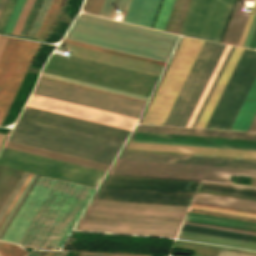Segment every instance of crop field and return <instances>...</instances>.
<instances>
[{
	"mask_svg": "<svg viewBox=\"0 0 256 256\" xmlns=\"http://www.w3.org/2000/svg\"><path fill=\"white\" fill-rule=\"evenodd\" d=\"M225 46L224 45H219V44H216L176 126H186L197 102H198V99L210 77V75L212 74L223 50H224Z\"/></svg>",
	"mask_w": 256,
	"mask_h": 256,
	"instance_id": "4a817a6b",
	"label": "crop field"
},
{
	"mask_svg": "<svg viewBox=\"0 0 256 256\" xmlns=\"http://www.w3.org/2000/svg\"><path fill=\"white\" fill-rule=\"evenodd\" d=\"M95 190L40 176L1 239L60 248Z\"/></svg>",
	"mask_w": 256,
	"mask_h": 256,
	"instance_id": "ac0d7876",
	"label": "crop field"
},
{
	"mask_svg": "<svg viewBox=\"0 0 256 256\" xmlns=\"http://www.w3.org/2000/svg\"><path fill=\"white\" fill-rule=\"evenodd\" d=\"M68 252H57L54 256H65Z\"/></svg>",
	"mask_w": 256,
	"mask_h": 256,
	"instance_id": "7b73153f",
	"label": "crop field"
},
{
	"mask_svg": "<svg viewBox=\"0 0 256 256\" xmlns=\"http://www.w3.org/2000/svg\"><path fill=\"white\" fill-rule=\"evenodd\" d=\"M41 75L51 77V78H55V79H59V80H63V81H67V82H71V83H75V84H79V85H84V86H88V87H93V88H97V89H101V90H106V91H110V92H115V93H119V94H123V95H128V96L148 100L147 97L134 95V94H130V93H125V92L109 89V88H106V87H102V86H98V85H94V84H90V83H85V82H81V81H77V80H73V79H69V78H64V77H60V76H56V75H52V74H48V73H44V72H42Z\"/></svg>",
	"mask_w": 256,
	"mask_h": 256,
	"instance_id": "1d83c4d3",
	"label": "crop field"
},
{
	"mask_svg": "<svg viewBox=\"0 0 256 256\" xmlns=\"http://www.w3.org/2000/svg\"><path fill=\"white\" fill-rule=\"evenodd\" d=\"M120 159L256 169V161L124 152Z\"/></svg>",
	"mask_w": 256,
	"mask_h": 256,
	"instance_id": "5142ce71",
	"label": "crop field"
},
{
	"mask_svg": "<svg viewBox=\"0 0 256 256\" xmlns=\"http://www.w3.org/2000/svg\"><path fill=\"white\" fill-rule=\"evenodd\" d=\"M131 141L256 150V141L136 132Z\"/></svg>",
	"mask_w": 256,
	"mask_h": 256,
	"instance_id": "22f410ed",
	"label": "crop field"
},
{
	"mask_svg": "<svg viewBox=\"0 0 256 256\" xmlns=\"http://www.w3.org/2000/svg\"><path fill=\"white\" fill-rule=\"evenodd\" d=\"M65 38L167 62L179 36L80 14Z\"/></svg>",
	"mask_w": 256,
	"mask_h": 256,
	"instance_id": "412701ff",
	"label": "crop field"
},
{
	"mask_svg": "<svg viewBox=\"0 0 256 256\" xmlns=\"http://www.w3.org/2000/svg\"><path fill=\"white\" fill-rule=\"evenodd\" d=\"M103 0H85L83 10L92 14H99Z\"/></svg>",
	"mask_w": 256,
	"mask_h": 256,
	"instance_id": "c035e120",
	"label": "crop field"
},
{
	"mask_svg": "<svg viewBox=\"0 0 256 256\" xmlns=\"http://www.w3.org/2000/svg\"><path fill=\"white\" fill-rule=\"evenodd\" d=\"M242 51H243L242 48L235 47L227 65H226V67H225V69H224V71H223V73H222V75H221V77H220V79H219V81H218V83H217V85H216V87H215V89H214V91H213V93H212V95H211V97H210V99H209V101H208V103H207V105H206V107H205L197 125H196V127L204 128V126H205V124H206V122H207V120H208V118H209V116H210V114H211V112H212V110H213V108H214V106H215L223 88L225 87V85H226V83H227V81H228V79H229V77H230V75H231V73H232V71H233L241 53H242Z\"/></svg>",
	"mask_w": 256,
	"mask_h": 256,
	"instance_id": "92a150f3",
	"label": "crop field"
},
{
	"mask_svg": "<svg viewBox=\"0 0 256 256\" xmlns=\"http://www.w3.org/2000/svg\"><path fill=\"white\" fill-rule=\"evenodd\" d=\"M233 49H234V47H231L223 65H222V67H221V69H220V71H219V73H218V75H217V77H216V79H215V81H214V83H213V85H212V87H211V89H210V91H209V93H208V95H207V97H206V99H205V101H204V103H203V105H202V107H201L193 125H192V127H195V125H196V123H197V121H198V119H199V117H200V115H201V113H202V111H203V109H204V107H205V105H206V103H207V101H208V99H209V97H210V95H211V93H212V91H213V89H214V87H215V85H216V83H217V81H218V79H219V77H220V75H221L229 57H230V55H231V53H232V51H233Z\"/></svg>",
	"mask_w": 256,
	"mask_h": 256,
	"instance_id": "b80d0937",
	"label": "crop field"
},
{
	"mask_svg": "<svg viewBox=\"0 0 256 256\" xmlns=\"http://www.w3.org/2000/svg\"><path fill=\"white\" fill-rule=\"evenodd\" d=\"M44 72L83 80L149 97L157 76L53 53Z\"/></svg>",
	"mask_w": 256,
	"mask_h": 256,
	"instance_id": "dd49c442",
	"label": "crop field"
},
{
	"mask_svg": "<svg viewBox=\"0 0 256 256\" xmlns=\"http://www.w3.org/2000/svg\"><path fill=\"white\" fill-rule=\"evenodd\" d=\"M248 47L256 49V27Z\"/></svg>",
	"mask_w": 256,
	"mask_h": 256,
	"instance_id": "1d79db26",
	"label": "crop field"
},
{
	"mask_svg": "<svg viewBox=\"0 0 256 256\" xmlns=\"http://www.w3.org/2000/svg\"><path fill=\"white\" fill-rule=\"evenodd\" d=\"M218 185L237 187V188H243V189H249V190H255L256 191V189H254V188H248V187H243V186H239V185H225V184H218Z\"/></svg>",
	"mask_w": 256,
	"mask_h": 256,
	"instance_id": "db79e9e6",
	"label": "crop field"
},
{
	"mask_svg": "<svg viewBox=\"0 0 256 256\" xmlns=\"http://www.w3.org/2000/svg\"><path fill=\"white\" fill-rule=\"evenodd\" d=\"M248 131H255L256 132V115L253 118Z\"/></svg>",
	"mask_w": 256,
	"mask_h": 256,
	"instance_id": "447ae74e",
	"label": "crop field"
},
{
	"mask_svg": "<svg viewBox=\"0 0 256 256\" xmlns=\"http://www.w3.org/2000/svg\"><path fill=\"white\" fill-rule=\"evenodd\" d=\"M4 138H5L4 135H0V146H1V144H2V142H3V140H4Z\"/></svg>",
	"mask_w": 256,
	"mask_h": 256,
	"instance_id": "78b8030e",
	"label": "crop field"
},
{
	"mask_svg": "<svg viewBox=\"0 0 256 256\" xmlns=\"http://www.w3.org/2000/svg\"><path fill=\"white\" fill-rule=\"evenodd\" d=\"M15 2H16V0H9L8 1L7 5H6L5 9H4V12H3V14H2V16L0 18V31L3 30V28H4V26H5L6 22H7V19L9 17L10 13H11V10H12Z\"/></svg>",
	"mask_w": 256,
	"mask_h": 256,
	"instance_id": "b54c1fbb",
	"label": "crop field"
},
{
	"mask_svg": "<svg viewBox=\"0 0 256 256\" xmlns=\"http://www.w3.org/2000/svg\"><path fill=\"white\" fill-rule=\"evenodd\" d=\"M255 25H256V14H255V16H254L253 22H252V24H251L249 33H248V35H247V38H246V41H245L243 47H247V46H248V43H249V41H250V38H251V35H252V33H253V30H254Z\"/></svg>",
	"mask_w": 256,
	"mask_h": 256,
	"instance_id": "dbb93151",
	"label": "crop field"
},
{
	"mask_svg": "<svg viewBox=\"0 0 256 256\" xmlns=\"http://www.w3.org/2000/svg\"><path fill=\"white\" fill-rule=\"evenodd\" d=\"M203 43L183 39L142 123L163 125Z\"/></svg>",
	"mask_w": 256,
	"mask_h": 256,
	"instance_id": "d8731c3e",
	"label": "crop field"
},
{
	"mask_svg": "<svg viewBox=\"0 0 256 256\" xmlns=\"http://www.w3.org/2000/svg\"><path fill=\"white\" fill-rule=\"evenodd\" d=\"M0 164L66 179L93 187L98 186L105 174L104 171L43 158L5 147L0 154Z\"/></svg>",
	"mask_w": 256,
	"mask_h": 256,
	"instance_id": "28ad6ade",
	"label": "crop field"
},
{
	"mask_svg": "<svg viewBox=\"0 0 256 256\" xmlns=\"http://www.w3.org/2000/svg\"><path fill=\"white\" fill-rule=\"evenodd\" d=\"M8 0H0V16Z\"/></svg>",
	"mask_w": 256,
	"mask_h": 256,
	"instance_id": "0765c3eb",
	"label": "crop field"
},
{
	"mask_svg": "<svg viewBox=\"0 0 256 256\" xmlns=\"http://www.w3.org/2000/svg\"><path fill=\"white\" fill-rule=\"evenodd\" d=\"M207 43L208 42L206 41L202 50H201V52H200V54H199V56H198V58H197V60H196V62H195V64H194V66H193V68H192V70H191V72H190V74H189V76H188V78H187V80H186V82H185V84H184V86H183V88H182V90H181V92H180V94H179V96H178V98L176 99V101H175V103H174V105H173V107H172L164 125H167V123H168V121H169V119H170V117H171V115H172V113H173V111H174V109H175V107H176V105H177V103H178V101H179V99H180V97H181V95H182V93H183V91H184V89H185V87H186V85H187V83H188V81H189V79H190V77H191V75H192V73H193V71H194V69H195L203 51H204V49H205V47H206V45H207Z\"/></svg>",
	"mask_w": 256,
	"mask_h": 256,
	"instance_id": "c21b1889",
	"label": "crop field"
},
{
	"mask_svg": "<svg viewBox=\"0 0 256 256\" xmlns=\"http://www.w3.org/2000/svg\"><path fill=\"white\" fill-rule=\"evenodd\" d=\"M230 47L231 46L227 45L222 57L220 58L217 66H216V68H215V70H214V72H213V74H212V76H211V78H210V80H209V82H208V84H207V86H206V88H205V90H204V92H203V94H202V96H201V98H200V100H199V102H198V104H197V106H196L188 124H187L188 127L191 126V124H192V122H193V120H194V118H195V116H196V114H197V112H198V110H199V108H200V106H201V104H202V102H203V100H204V98H205V96H206V94H207V92H208V90H209V88H210V86H211V84H212V82H213V80H214V78H215V76H216L224 58H225V56H226V54H227V52H228V50L230 49Z\"/></svg>",
	"mask_w": 256,
	"mask_h": 256,
	"instance_id": "bd1437ed",
	"label": "crop field"
},
{
	"mask_svg": "<svg viewBox=\"0 0 256 256\" xmlns=\"http://www.w3.org/2000/svg\"><path fill=\"white\" fill-rule=\"evenodd\" d=\"M34 94L139 118L145 104L40 78Z\"/></svg>",
	"mask_w": 256,
	"mask_h": 256,
	"instance_id": "3316defc",
	"label": "crop field"
},
{
	"mask_svg": "<svg viewBox=\"0 0 256 256\" xmlns=\"http://www.w3.org/2000/svg\"><path fill=\"white\" fill-rule=\"evenodd\" d=\"M137 131L256 140L255 133L140 125Z\"/></svg>",
	"mask_w": 256,
	"mask_h": 256,
	"instance_id": "bc2a9ffb",
	"label": "crop field"
},
{
	"mask_svg": "<svg viewBox=\"0 0 256 256\" xmlns=\"http://www.w3.org/2000/svg\"><path fill=\"white\" fill-rule=\"evenodd\" d=\"M192 207L213 210V211H219V212L232 213V214H238V215H244V216H250V217H256V214H252V213L239 212V211H233V210H227V209H221V208H214V207H208V206H202V205H196V204H193Z\"/></svg>",
	"mask_w": 256,
	"mask_h": 256,
	"instance_id": "5d738f31",
	"label": "crop field"
},
{
	"mask_svg": "<svg viewBox=\"0 0 256 256\" xmlns=\"http://www.w3.org/2000/svg\"><path fill=\"white\" fill-rule=\"evenodd\" d=\"M127 148L256 158V151L130 142Z\"/></svg>",
	"mask_w": 256,
	"mask_h": 256,
	"instance_id": "733c2abd",
	"label": "crop field"
},
{
	"mask_svg": "<svg viewBox=\"0 0 256 256\" xmlns=\"http://www.w3.org/2000/svg\"><path fill=\"white\" fill-rule=\"evenodd\" d=\"M191 0H183L182 5L180 7L179 13L177 15L176 21L174 23L173 29L171 32L173 33H179V30L181 28L182 22L184 20L185 14L187 12L188 6L190 4Z\"/></svg>",
	"mask_w": 256,
	"mask_h": 256,
	"instance_id": "e1f06a70",
	"label": "crop field"
},
{
	"mask_svg": "<svg viewBox=\"0 0 256 256\" xmlns=\"http://www.w3.org/2000/svg\"><path fill=\"white\" fill-rule=\"evenodd\" d=\"M111 174L229 183L231 175L256 176V170L118 160Z\"/></svg>",
	"mask_w": 256,
	"mask_h": 256,
	"instance_id": "5a996713",
	"label": "crop field"
},
{
	"mask_svg": "<svg viewBox=\"0 0 256 256\" xmlns=\"http://www.w3.org/2000/svg\"><path fill=\"white\" fill-rule=\"evenodd\" d=\"M4 146L11 149L23 151V152H28L36 155H41L45 157H50L58 160H63L71 163L84 165V166H89V167H93V168H97L105 171H107V169L109 168L108 165L91 162V161H87L79 158H74V157H70L62 154H57V153H53V152H49V151H45L37 148H32V147H28V146H24L16 143L8 142V141H6Z\"/></svg>",
	"mask_w": 256,
	"mask_h": 256,
	"instance_id": "00972430",
	"label": "crop field"
},
{
	"mask_svg": "<svg viewBox=\"0 0 256 256\" xmlns=\"http://www.w3.org/2000/svg\"><path fill=\"white\" fill-rule=\"evenodd\" d=\"M187 209L93 200L78 229L174 238Z\"/></svg>",
	"mask_w": 256,
	"mask_h": 256,
	"instance_id": "34b2d1b8",
	"label": "crop field"
},
{
	"mask_svg": "<svg viewBox=\"0 0 256 256\" xmlns=\"http://www.w3.org/2000/svg\"><path fill=\"white\" fill-rule=\"evenodd\" d=\"M129 133L25 106L8 140L111 165Z\"/></svg>",
	"mask_w": 256,
	"mask_h": 256,
	"instance_id": "8a807250",
	"label": "crop field"
},
{
	"mask_svg": "<svg viewBox=\"0 0 256 256\" xmlns=\"http://www.w3.org/2000/svg\"><path fill=\"white\" fill-rule=\"evenodd\" d=\"M244 1L245 0H238L237 2L231 21L229 23L228 29L226 31L225 37L222 42L224 44H230L235 46L238 45L245 22L248 17V14L240 13Z\"/></svg>",
	"mask_w": 256,
	"mask_h": 256,
	"instance_id": "4177f3b9",
	"label": "crop field"
},
{
	"mask_svg": "<svg viewBox=\"0 0 256 256\" xmlns=\"http://www.w3.org/2000/svg\"><path fill=\"white\" fill-rule=\"evenodd\" d=\"M256 112V80L231 128V130L246 131Z\"/></svg>",
	"mask_w": 256,
	"mask_h": 256,
	"instance_id": "730fd06b",
	"label": "crop field"
},
{
	"mask_svg": "<svg viewBox=\"0 0 256 256\" xmlns=\"http://www.w3.org/2000/svg\"><path fill=\"white\" fill-rule=\"evenodd\" d=\"M59 50L75 53L74 56L160 76L163 66L107 54L61 42Z\"/></svg>",
	"mask_w": 256,
	"mask_h": 256,
	"instance_id": "d9b57169",
	"label": "crop field"
},
{
	"mask_svg": "<svg viewBox=\"0 0 256 256\" xmlns=\"http://www.w3.org/2000/svg\"><path fill=\"white\" fill-rule=\"evenodd\" d=\"M199 182L109 175L95 199L189 206Z\"/></svg>",
	"mask_w": 256,
	"mask_h": 256,
	"instance_id": "f4fd0767",
	"label": "crop field"
},
{
	"mask_svg": "<svg viewBox=\"0 0 256 256\" xmlns=\"http://www.w3.org/2000/svg\"><path fill=\"white\" fill-rule=\"evenodd\" d=\"M255 1H256V0H255ZM255 11H256V3H255V5H254V7H253V12H251L250 15H249V19H248V21H247L246 27H245V29H244L243 35H242L241 40H240V43H239V45H238V46H240V47L243 46V43H244V41H245V38H246V35H247V33H248L250 24H251V22H252V19H253L254 14H255Z\"/></svg>",
	"mask_w": 256,
	"mask_h": 256,
	"instance_id": "25e5ab78",
	"label": "crop field"
},
{
	"mask_svg": "<svg viewBox=\"0 0 256 256\" xmlns=\"http://www.w3.org/2000/svg\"><path fill=\"white\" fill-rule=\"evenodd\" d=\"M29 175V173L24 172V174L22 175L21 179L19 180V182L17 183L16 187L14 188V190L12 191V193L10 194L9 198L7 199V201L5 202L4 206L2 207V209L0 210V219L2 218V216L4 215L5 211L7 210V208L9 207L10 203L12 202V200L14 199L15 195L17 194V192L19 191V189L21 188L22 184L24 183V181L26 180L27 176Z\"/></svg>",
	"mask_w": 256,
	"mask_h": 256,
	"instance_id": "0bd39190",
	"label": "crop field"
},
{
	"mask_svg": "<svg viewBox=\"0 0 256 256\" xmlns=\"http://www.w3.org/2000/svg\"><path fill=\"white\" fill-rule=\"evenodd\" d=\"M22 174V171L0 166V209Z\"/></svg>",
	"mask_w": 256,
	"mask_h": 256,
	"instance_id": "ae1a2a85",
	"label": "crop field"
},
{
	"mask_svg": "<svg viewBox=\"0 0 256 256\" xmlns=\"http://www.w3.org/2000/svg\"><path fill=\"white\" fill-rule=\"evenodd\" d=\"M25 1L26 0H17L15 6L13 8V11H12V13H11L9 19H8V22H7V24L4 28L5 32H9V33L12 32V30H13L15 24H16V21H17L19 15H20V12H21L24 4H25Z\"/></svg>",
	"mask_w": 256,
	"mask_h": 256,
	"instance_id": "120bbe31",
	"label": "crop field"
},
{
	"mask_svg": "<svg viewBox=\"0 0 256 256\" xmlns=\"http://www.w3.org/2000/svg\"><path fill=\"white\" fill-rule=\"evenodd\" d=\"M131 0H105L100 11V16L114 18L117 8L128 9Z\"/></svg>",
	"mask_w": 256,
	"mask_h": 256,
	"instance_id": "750c4746",
	"label": "crop field"
},
{
	"mask_svg": "<svg viewBox=\"0 0 256 256\" xmlns=\"http://www.w3.org/2000/svg\"><path fill=\"white\" fill-rule=\"evenodd\" d=\"M181 230L256 242V236H253V235H247V234H241V233H235V232H229V231H223V230H217V229H211V228H205V227H199V226H193V225H187V224H184ZM184 231L180 232L178 238L193 240V241L202 242V243L256 250V243L209 236V235H202V234H196V233H190V232H184Z\"/></svg>",
	"mask_w": 256,
	"mask_h": 256,
	"instance_id": "cbeb9de0",
	"label": "crop field"
},
{
	"mask_svg": "<svg viewBox=\"0 0 256 256\" xmlns=\"http://www.w3.org/2000/svg\"><path fill=\"white\" fill-rule=\"evenodd\" d=\"M235 0H192L179 34L220 42Z\"/></svg>",
	"mask_w": 256,
	"mask_h": 256,
	"instance_id": "d1516ede",
	"label": "crop field"
},
{
	"mask_svg": "<svg viewBox=\"0 0 256 256\" xmlns=\"http://www.w3.org/2000/svg\"><path fill=\"white\" fill-rule=\"evenodd\" d=\"M39 178V175H37V177L35 178L34 182L32 183V185L30 186L29 190L27 191V193L25 194V196L23 197L22 201L20 202V204L18 205L17 209L15 210V212L13 213L12 217L10 218V220L8 221V223L6 224L5 228L3 229V231L0 234V237L3 235V233L5 232L6 228L8 227L10 221L12 220L13 216L17 213L20 205L22 204L23 200L25 199V197L27 196V194L29 193L30 189L32 188V186L34 185V183L36 182V180Z\"/></svg>",
	"mask_w": 256,
	"mask_h": 256,
	"instance_id": "1f2cbd36",
	"label": "crop field"
},
{
	"mask_svg": "<svg viewBox=\"0 0 256 256\" xmlns=\"http://www.w3.org/2000/svg\"><path fill=\"white\" fill-rule=\"evenodd\" d=\"M7 38H8V37H6V36H1V35H0V55H1V53H2V50H3V48H4V45H5V43H6Z\"/></svg>",
	"mask_w": 256,
	"mask_h": 256,
	"instance_id": "9d1cf04e",
	"label": "crop field"
},
{
	"mask_svg": "<svg viewBox=\"0 0 256 256\" xmlns=\"http://www.w3.org/2000/svg\"><path fill=\"white\" fill-rule=\"evenodd\" d=\"M160 3L161 0H132L124 21L151 28Z\"/></svg>",
	"mask_w": 256,
	"mask_h": 256,
	"instance_id": "214f88e0",
	"label": "crop field"
},
{
	"mask_svg": "<svg viewBox=\"0 0 256 256\" xmlns=\"http://www.w3.org/2000/svg\"><path fill=\"white\" fill-rule=\"evenodd\" d=\"M194 202L225 206V207H231V208H237V209L256 212V202L245 201V200H238V199L198 193Z\"/></svg>",
	"mask_w": 256,
	"mask_h": 256,
	"instance_id": "eef30255",
	"label": "crop field"
},
{
	"mask_svg": "<svg viewBox=\"0 0 256 256\" xmlns=\"http://www.w3.org/2000/svg\"><path fill=\"white\" fill-rule=\"evenodd\" d=\"M48 251L33 250L27 256H44Z\"/></svg>",
	"mask_w": 256,
	"mask_h": 256,
	"instance_id": "0fb4a251",
	"label": "crop field"
},
{
	"mask_svg": "<svg viewBox=\"0 0 256 256\" xmlns=\"http://www.w3.org/2000/svg\"><path fill=\"white\" fill-rule=\"evenodd\" d=\"M186 220L256 231V223L188 212Z\"/></svg>",
	"mask_w": 256,
	"mask_h": 256,
	"instance_id": "a9b5d70f",
	"label": "crop field"
},
{
	"mask_svg": "<svg viewBox=\"0 0 256 256\" xmlns=\"http://www.w3.org/2000/svg\"><path fill=\"white\" fill-rule=\"evenodd\" d=\"M182 0H175V3L173 5L172 11L170 13L169 19L167 21L166 27H165V31H171V28L173 26L174 20L176 18L177 12L179 10L180 4H181Z\"/></svg>",
	"mask_w": 256,
	"mask_h": 256,
	"instance_id": "03da06ac",
	"label": "crop field"
},
{
	"mask_svg": "<svg viewBox=\"0 0 256 256\" xmlns=\"http://www.w3.org/2000/svg\"><path fill=\"white\" fill-rule=\"evenodd\" d=\"M34 1L35 0H27L26 1V4H25V6H24V8H23V10L21 12V15H20V17H19V19L17 21V24H16V26H15V28H14L12 33L18 34V35L20 34V32H21V30H22V28L24 26V23H25V21H26V19L28 17V14H29L32 6H33Z\"/></svg>",
	"mask_w": 256,
	"mask_h": 256,
	"instance_id": "5866460e",
	"label": "crop field"
},
{
	"mask_svg": "<svg viewBox=\"0 0 256 256\" xmlns=\"http://www.w3.org/2000/svg\"><path fill=\"white\" fill-rule=\"evenodd\" d=\"M82 256H108V255L82 254ZM218 256H254V255H246V254H239V253H231V252L221 251Z\"/></svg>",
	"mask_w": 256,
	"mask_h": 256,
	"instance_id": "89e229c0",
	"label": "crop field"
},
{
	"mask_svg": "<svg viewBox=\"0 0 256 256\" xmlns=\"http://www.w3.org/2000/svg\"><path fill=\"white\" fill-rule=\"evenodd\" d=\"M256 78V51L244 49L205 128L230 130Z\"/></svg>",
	"mask_w": 256,
	"mask_h": 256,
	"instance_id": "e52e79f7",
	"label": "crop field"
},
{
	"mask_svg": "<svg viewBox=\"0 0 256 256\" xmlns=\"http://www.w3.org/2000/svg\"><path fill=\"white\" fill-rule=\"evenodd\" d=\"M199 189L256 198L255 191L230 188V187H224V186H218V185H212V184H206V183H202Z\"/></svg>",
	"mask_w": 256,
	"mask_h": 256,
	"instance_id": "d3111659",
	"label": "crop field"
},
{
	"mask_svg": "<svg viewBox=\"0 0 256 256\" xmlns=\"http://www.w3.org/2000/svg\"><path fill=\"white\" fill-rule=\"evenodd\" d=\"M43 0H36L35 3H34V6L29 14V17L25 23V26L21 32L20 35H24V36H27L31 27H32V24L36 18V15L41 7V4H42Z\"/></svg>",
	"mask_w": 256,
	"mask_h": 256,
	"instance_id": "028f5c9d",
	"label": "crop field"
},
{
	"mask_svg": "<svg viewBox=\"0 0 256 256\" xmlns=\"http://www.w3.org/2000/svg\"><path fill=\"white\" fill-rule=\"evenodd\" d=\"M184 223L206 226V227H212V228H218V229L231 230V231H237V232H244V233H250V234H256V232H251V231L238 230V229H232V228H226V227H219V226H213V225H207V224H200V223H194V222H188V221H185Z\"/></svg>",
	"mask_w": 256,
	"mask_h": 256,
	"instance_id": "73cf0c24",
	"label": "crop field"
},
{
	"mask_svg": "<svg viewBox=\"0 0 256 256\" xmlns=\"http://www.w3.org/2000/svg\"><path fill=\"white\" fill-rule=\"evenodd\" d=\"M214 46H215L214 43H210V42L208 43V45H207L199 63H198V65H197V67H196V69H195V71H194V73H193V75H192V77H191V79H190V81H189V83H188V85H187V87H186V89H185V91H184V93H183V95H182L174 113H173V116H172L171 120L168 123V125L175 126V124H176V122H177V120H178V118H179V116H180V114H181V112H182V110H183V108H184V106H185V104H186V102H187V100H188V98H189V96H190V94H191V92H192V90H193V88H194V86H195V84H196V82H197V80H198V78H199V76H200V74H201V72H202L210 54H211V52H212V50H213V48H214Z\"/></svg>",
	"mask_w": 256,
	"mask_h": 256,
	"instance_id": "dafd665d",
	"label": "crop field"
},
{
	"mask_svg": "<svg viewBox=\"0 0 256 256\" xmlns=\"http://www.w3.org/2000/svg\"><path fill=\"white\" fill-rule=\"evenodd\" d=\"M36 177L35 174H33L32 178L30 179V181L28 182L27 186L25 187L24 191L22 192V194L20 195L19 199L17 200L16 204L14 205V207L12 208L11 212L9 213L8 217L6 218V220L4 221L3 225L0 228V232L2 231V229L4 228L5 224L7 223V221L9 220V218L11 217L12 213L14 212V210L16 209L17 205L19 204V202L21 201L22 197L24 196V194L26 193V191L28 190L29 186L31 185L32 181L34 180V178Z\"/></svg>",
	"mask_w": 256,
	"mask_h": 256,
	"instance_id": "d23c7cc5",
	"label": "crop field"
},
{
	"mask_svg": "<svg viewBox=\"0 0 256 256\" xmlns=\"http://www.w3.org/2000/svg\"><path fill=\"white\" fill-rule=\"evenodd\" d=\"M125 151H132V152H147V153H162V154H177V155H192V156H206V157H221V156H208V155H196V154L172 153V152L142 151V150H131V149H126ZM221 158H235V157H221ZM236 159H249V158H236ZM251 160H256V159H251Z\"/></svg>",
	"mask_w": 256,
	"mask_h": 256,
	"instance_id": "425ffa30",
	"label": "crop field"
},
{
	"mask_svg": "<svg viewBox=\"0 0 256 256\" xmlns=\"http://www.w3.org/2000/svg\"><path fill=\"white\" fill-rule=\"evenodd\" d=\"M174 0H164L157 22L155 24L156 29H164L170 10L172 8Z\"/></svg>",
	"mask_w": 256,
	"mask_h": 256,
	"instance_id": "d32e631a",
	"label": "crop field"
}]
</instances>
